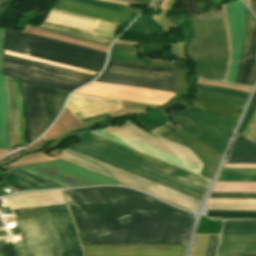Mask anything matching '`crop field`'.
I'll list each match as a JSON object with an SVG mask.
<instances>
[{
    "mask_svg": "<svg viewBox=\"0 0 256 256\" xmlns=\"http://www.w3.org/2000/svg\"><path fill=\"white\" fill-rule=\"evenodd\" d=\"M63 192L86 244H187L193 214L126 188Z\"/></svg>",
    "mask_w": 256,
    "mask_h": 256,
    "instance_id": "obj_1",
    "label": "crop field"
},
{
    "mask_svg": "<svg viewBox=\"0 0 256 256\" xmlns=\"http://www.w3.org/2000/svg\"><path fill=\"white\" fill-rule=\"evenodd\" d=\"M3 49L99 72L105 53L5 29Z\"/></svg>",
    "mask_w": 256,
    "mask_h": 256,
    "instance_id": "obj_2",
    "label": "crop field"
},
{
    "mask_svg": "<svg viewBox=\"0 0 256 256\" xmlns=\"http://www.w3.org/2000/svg\"><path fill=\"white\" fill-rule=\"evenodd\" d=\"M68 149L91 157L128 173L134 174L176 192L182 193L197 200H201L204 189L181 181L149 167L143 166L106 150L100 149L83 141Z\"/></svg>",
    "mask_w": 256,
    "mask_h": 256,
    "instance_id": "obj_3",
    "label": "crop field"
},
{
    "mask_svg": "<svg viewBox=\"0 0 256 256\" xmlns=\"http://www.w3.org/2000/svg\"><path fill=\"white\" fill-rule=\"evenodd\" d=\"M176 71L109 60L96 81L174 92L172 82Z\"/></svg>",
    "mask_w": 256,
    "mask_h": 256,
    "instance_id": "obj_4",
    "label": "crop field"
},
{
    "mask_svg": "<svg viewBox=\"0 0 256 256\" xmlns=\"http://www.w3.org/2000/svg\"><path fill=\"white\" fill-rule=\"evenodd\" d=\"M48 256H62L48 213L34 215ZM34 216L15 219L23 243L13 244L17 256H47Z\"/></svg>",
    "mask_w": 256,
    "mask_h": 256,
    "instance_id": "obj_5",
    "label": "crop field"
},
{
    "mask_svg": "<svg viewBox=\"0 0 256 256\" xmlns=\"http://www.w3.org/2000/svg\"><path fill=\"white\" fill-rule=\"evenodd\" d=\"M25 62V61H24ZM2 57L1 74L71 92L91 78Z\"/></svg>",
    "mask_w": 256,
    "mask_h": 256,
    "instance_id": "obj_6",
    "label": "crop field"
},
{
    "mask_svg": "<svg viewBox=\"0 0 256 256\" xmlns=\"http://www.w3.org/2000/svg\"><path fill=\"white\" fill-rule=\"evenodd\" d=\"M21 168L27 169L68 186L119 184L62 160L21 166Z\"/></svg>",
    "mask_w": 256,
    "mask_h": 256,
    "instance_id": "obj_7",
    "label": "crop field"
},
{
    "mask_svg": "<svg viewBox=\"0 0 256 256\" xmlns=\"http://www.w3.org/2000/svg\"><path fill=\"white\" fill-rule=\"evenodd\" d=\"M172 117L190 134L222 154L233 130L204 115L173 114Z\"/></svg>",
    "mask_w": 256,
    "mask_h": 256,
    "instance_id": "obj_8",
    "label": "crop field"
},
{
    "mask_svg": "<svg viewBox=\"0 0 256 256\" xmlns=\"http://www.w3.org/2000/svg\"><path fill=\"white\" fill-rule=\"evenodd\" d=\"M75 93L157 105L168 103L169 99L175 96V94L171 92L99 82H93Z\"/></svg>",
    "mask_w": 256,
    "mask_h": 256,
    "instance_id": "obj_9",
    "label": "crop field"
},
{
    "mask_svg": "<svg viewBox=\"0 0 256 256\" xmlns=\"http://www.w3.org/2000/svg\"><path fill=\"white\" fill-rule=\"evenodd\" d=\"M71 134L81 140L88 142V143H91L93 145H96L98 147L106 149V150L116 153L118 155L124 156L126 158H129L131 160H134L136 162H139L141 164H144L146 166H149L151 168H154L156 170H159V171L169 174L171 176H174L176 178L182 179L184 181H187L189 183H192V184L202 187L204 189L206 188V186L209 182L200 177L194 176L192 174H189L187 172H184V171L174 168L172 166L166 165L164 163H161L159 161H156V160L146 157L144 155L138 154L136 152H133L131 150H128L126 148L118 146L116 144H113V143H110L103 139H100L88 132L86 133V132L82 131V132H75V133H71Z\"/></svg>",
    "mask_w": 256,
    "mask_h": 256,
    "instance_id": "obj_10",
    "label": "crop field"
},
{
    "mask_svg": "<svg viewBox=\"0 0 256 256\" xmlns=\"http://www.w3.org/2000/svg\"><path fill=\"white\" fill-rule=\"evenodd\" d=\"M85 256H183L186 246L82 245Z\"/></svg>",
    "mask_w": 256,
    "mask_h": 256,
    "instance_id": "obj_11",
    "label": "crop field"
},
{
    "mask_svg": "<svg viewBox=\"0 0 256 256\" xmlns=\"http://www.w3.org/2000/svg\"><path fill=\"white\" fill-rule=\"evenodd\" d=\"M47 208L60 241L63 255L83 256L80 241L66 206H51Z\"/></svg>",
    "mask_w": 256,
    "mask_h": 256,
    "instance_id": "obj_12",
    "label": "crop field"
},
{
    "mask_svg": "<svg viewBox=\"0 0 256 256\" xmlns=\"http://www.w3.org/2000/svg\"><path fill=\"white\" fill-rule=\"evenodd\" d=\"M105 129L201 166L200 162L189 150L151 136L129 122H126L121 127H107Z\"/></svg>",
    "mask_w": 256,
    "mask_h": 256,
    "instance_id": "obj_13",
    "label": "crop field"
},
{
    "mask_svg": "<svg viewBox=\"0 0 256 256\" xmlns=\"http://www.w3.org/2000/svg\"><path fill=\"white\" fill-rule=\"evenodd\" d=\"M225 6L232 40V61L227 82H235L243 42L245 12L240 1L226 3Z\"/></svg>",
    "mask_w": 256,
    "mask_h": 256,
    "instance_id": "obj_14",
    "label": "crop field"
},
{
    "mask_svg": "<svg viewBox=\"0 0 256 256\" xmlns=\"http://www.w3.org/2000/svg\"><path fill=\"white\" fill-rule=\"evenodd\" d=\"M52 11L61 13V14H65V15H69V16H74V17L94 21L97 23L95 24L94 22H90V21H86V20H82V19H78V18H73V17H69V16H65V15H61V14H57V13H53V12L49 13V15L45 19L46 21H50V22L86 30V31H89L92 28V26L95 24L93 26V28L90 30L91 32H95V33H99V34H103V35H107V36H111V37L113 36L116 26H117L116 24H112V23H108V22H104V21H100V20H96V19H92V18H88V17H83V16H79V15H75V14H71V13H67V12H63V11H59V10H55V9H52Z\"/></svg>",
    "mask_w": 256,
    "mask_h": 256,
    "instance_id": "obj_15",
    "label": "crop field"
},
{
    "mask_svg": "<svg viewBox=\"0 0 256 256\" xmlns=\"http://www.w3.org/2000/svg\"><path fill=\"white\" fill-rule=\"evenodd\" d=\"M4 181L21 191L68 187L19 167L9 172Z\"/></svg>",
    "mask_w": 256,
    "mask_h": 256,
    "instance_id": "obj_16",
    "label": "crop field"
},
{
    "mask_svg": "<svg viewBox=\"0 0 256 256\" xmlns=\"http://www.w3.org/2000/svg\"><path fill=\"white\" fill-rule=\"evenodd\" d=\"M256 254V234L221 236L216 256Z\"/></svg>",
    "mask_w": 256,
    "mask_h": 256,
    "instance_id": "obj_17",
    "label": "crop field"
},
{
    "mask_svg": "<svg viewBox=\"0 0 256 256\" xmlns=\"http://www.w3.org/2000/svg\"><path fill=\"white\" fill-rule=\"evenodd\" d=\"M55 9L83 15V16H88L112 23L119 24V22L123 19L129 18L128 15L68 1V0H57L55 6Z\"/></svg>",
    "mask_w": 256,
    "mask_h": 256,
    "instance_id": "obj_18",
    "label": "crop field"
},
{
    "mask_svg": "<svg viewBox=\"0 0 256 256\" xmlns=\"http://www.w3.org/2000/svg\"><path fill=\"white\" fill-rule=\"evenodd\" d=\"M27 27L53 33V34L66 36V37H71V38H75V39H79V40H83V41H87V42H91V43H95V44H99L107 47L112 41L110 37L86 32V31H82V30L46 22V21L43 22L41 27L30 25V24H28Z\"/></svg>",
    "mask_w": 256,
    "mask_h": 256,
    "instance_id": "obj_19",
    "label": "crop field"
},
{
    "mask_svg": "<svg viewBox=\"0 0 256 256\" xmlns=\"http://www.w3.org/2000/svg\"><path fill=\"white\" fill-rule=\"evenodd\" d=\"M20 83L30 112L31 138L34 141L44 131L37 87L22 81Z\"/></svg>",
    "mask_w": 256,
    "mask_h": 256,
    "instance_id": "obj_20",
    "label": "crop field"
},
{
    "mask_svg": "<svg viewBox=\"0 0 256 256\" xmlns=\"http://www.w3.org/2000/svg\"><path fill=\"white\" fill-rule=\"evenodd\" d=\"M192 104L194 109L202 110L205 112H209L232 121H237L242 108L237 106L208 100L200 97H193Z\"/></svg>",
    "mask_w": 256,
    "mask_h": 256,
    "instance_id": "obj_21",
    "label": "crop field"
},
{
    "mask_svg": "<svg viewBox=\"0 0 256 256\" xmlns=\"http://www.w3.org/2000/svg\"><path fill=\"white\" fill-rule=\"evenodd\" d=\"M18 103V136L21 146L30 143V120L26 102L24 100L20 83L13 79Z\"/></svg>",
    "mask_w": 256,
    "mask_h": 256,
    "instance_id": "obj_22",
    "label": "crop field"
},
{
    "mask_svg": "<svg viewBox=\"0 0 256 256\" xmlns=\"http://www.w3.org/2000/svg\"><path fill=\"white\" fill-rule=\"evenodd\" d=\"M40 105L42 110L44 128L50 124L60 111L57 92L54 89L38 86Z\"/></svg>",
    "mask_w": 256,
    "mask_h": 256,
    "instance_id": "obj_23",
    "label": "crop field"
},
{
    "mask_svg": "<svg viewBox=\"0 0 256 256\" xmlns=\"http://www.w3.org/2000/svg\"><path fill=\"white\" fill-rule=\"evenodd\" d=\"M6 95L8 103V128L10 146L18 143L17 136V104L13 90L12 78L7 76L6 80ZM9 138H8V151H9Z\"/></svg>",
    "mask_w": 256,
    "mask_h": 256,
    "instance_id": "obj_24",
    "label": "crop field"
},
{
    "mask_svg": "<svg viewBox=\"0 0 256 256\" xmlns=\"http://www.w3.org/2000/svg\"><path fill=\"white\" fill-rule=\"evenodd\" d=\"M4 28H0V64L2 55V38ZM5 75L0 74V149H7V104L5 96Z\"/></svg>",
    "mask_w": 256,
    "mask_h": 256,
    "instance_id": "obj_25",
    "label": "crop field"
},
{
    "mask_svg": "<svg viewBox=\"0 0 256 256\" xmlns=\"http://www.w3.org/2000/svg\"><path fill=\"white\" fill-rule=\"evenodd\" d=\"M240 158H256V144L239 135L234 143L229 160Z\"/></svg>",
    "mask_w": 256,
    "mask_h": 256,
    "instance_id": "obj_26",
    "label": "crop field"
},
{
    "mask_svg": "<svg viewBox=\"0 0 256 256\" xmlns=\"http://www.w3.org/2000/svg\"><path fill=\"white\" fill-rule=\"evenodd\" d=\"M256 56V22L254 21L253 31L249 42L240 84L246 85Z\"/></svg>",
    "mask_w": 256,
    "mask_h": 256,
    "instance_id": "obj_27",
    "label": "crop field"
},
{
    "mask_svg": "<svg viewBox=\"0 0 256 256\" xmlns=\"http://www.w3.org/2000/svg\"><path fill=\"white\" fill-rule=\"evenodd\" d=\"M212 192L256 193V183L217 182Z\"/></svg>",
    "mask_w": 256,
    "mask_h": 256,
    "instance_id": "obj_28",
    "label": "crop field"
},
{
    "mask_svg": "<svg viewBox=\"0 0 256 256\" xmlns=\"http://www.w3.org/2000/svg\"><path fill=\"white\" fill-rule=\"evenodd\" d=\"M253 228H256V220L225 222L223 230H241V229H253ZM247 233H256V229L235 231L234 234H247Z\"/></svg>",
    "mask_w": 256,
    "mask_h": 256,
    "instance_id": "obj_29",
    "label": "crop field"
},
{
    "mask_svg": "<svg viewBox=\"0 0 256 256\" xmlns=\"http://www.w3.org/2000/svg\"><path fill=\"white\" fill-rule=\"evenodd\" d=\"M110 57L125 59V60H132V61L143 62V63L151 62V60H148V59L136 58V50H131V49H122V48L112 47Z\"/></svg>",
    "mask_w": 256,
    "mask_h": 256,
    "instance_id": "obj_30",
    "label": "crop field"
},
{
    "mask_svg": "<svg viewBox=\"0 0 256 256\" xmlns=\"http://www.w3.org/2000/svg\"><path fill=\"white\" fill-rule=\"evenodd\" d=\"M207 216L222 218H255L256 212L247 211H207Z\"/></svg>",
    "mask_w": 256,
    "mask_h": 256,
    "instance_id": "obj_31",
    "label": "crop field"
},
{
    "mask_svg": "<svg viewBox=\"0 0 256 256\" xmlns=\"http://www.w3.org/2000/svg\"><path fill=\"white\" fill-rule=\"evenodd\" d=\"M207 210H251V211H256V205L208 204Z\"/></svg>",
    "mask_w": 256,
    "mask_h": 256,
    "instance_id": "obj_32",
    "label": "crop field"
},
{
    "mask_svg": "<svg viewBox=\"0 0 256 256\" xmlns=\"http://www.w3.org/2000/svg\"><path fill=\"white\" fill-rule=\"evenodd\" d=\"M83 3H88V4H93L99 7H104V8H109L118 12L124 13L126 11L127 7L126 6H121L117 4H111V3H105V2H100L96 0H75Z\"/></svg>",
    "mask_w": 256,
    "mask_h": 256,
    "instance_id": "obj_33",
    "label": "crop field"
},
{
    "mask_svg": "<svg viewBox=\"0 0 256 256\" xmlns=\"http://www.w3.org/2000/svg\"><path fill=\"white\" fill-rule=\"evenodd\" d=\"M210 198H239V199H256V194H240V193H212Z\"/></svg>",
    "mask_w": 256,
    "mask_h": 256,
    "instance_id": "obj_34",
    "label": "crop field"
},
{
    "mask_svg": "<svg viewBox=\"0 0 256 256\" xmlns=\"http://www.w3.org/2000/svg\"><path fill=\"white\" fill-rule=\"evenodd\" d=\"M255 107H256V92H255V94H254V96L252 98V101H251V103H250V105L248 107V110H247V112L245 114V117H244V119L242 121V124H241V126H240V128H239V130L237 132L238 134L242 133V131L245 128L246 124L248 123V121H249V119H250V117H251Z\"/></svg>",
    "mask_w": 256,
    "mask_h": 256,
    "instance_id": "obj_35",
    "label": "crop field"
},
{
    "mask_svg": "<svg viewBox=\"0 0 256 256\" xmlns=\"http://www.w3.org/2000/svg\"><path fill=\"white\" fill-rule=\"evenodd\" d=\"M219 236H210L205 256H215Z\"/></svg>",
    "mask_w": 256,
    "mask_h": 256,
    "instance_id": "obj_36",
    "label": "crop field"
},
{
    "mask_svg": "<svg viewBox=\"0 0 256 256\" xmlns=\"http://www.w3.org/2000/svg\"><path fill=\"white\" fill-rule=\"evenodd\" d=\"M252 26H253V18L249 15V28H248L247 39H246V43H245V48H244V53H243V58H242V62H241V67H240V72H239V77H238L237 83L239 82V78H240V75H241L242 66H243V62H244V58H245L249 38H250V35H251V31H252Z\"/></svg>",
    "mask_w": 256,
    "mask_h": 256,
    "instance_id": "obj_37",
    "label": "crop field"
},
{
    "mask_svg": "<svg viewBox=\"0 0 256 256\" xmlns=\"http://www.w3.org/2000/svg\"><path fill=\"white\" fill-rule=\"evenodd\" d=\"M197 89L211 90V91L223 93V94H226V95H230V96L241 98V99H245V100H247V98H248V96H246V95L237 94V93H233V92H229V91H225V90H221V89H216V88L199 87V86H197Z\"/></svg>",
    "mask_w": 256,
    "mask_h": 256,
    "instance_id": "obj_38",
    "label": "crop field"
},
{
    "mask_svg": "<svg viewBox=\"0 0 256 256\" xmlns=\"http://www.w3.org/2000/svg\"><path fill=\"white\" fill-rule=\"evenodd\" d=\"M176 132L169 124L153 131V133L157 134L158 136L164 138L172 133Z\"/></svg>",
    "mask_w": 256,
    "mask_h": 256,
    "instance_id": "obj_39",
    "label": "crop field"
},
{
    "mask_svg": "<svg viewBox=\"0 0 256 256\" xmlns=\"http://www.w3.org/2000/svg\"><path fill=\"white\" fill-rule=\"evenodd\" d=\"M5 256H16L15 250L12 244L2 245Z\"/></svg>",
    "mask_w": 256,
    "mask_h": 256,
    "instance_id": "obj_40",
    "label": "crop field"
},
{
    "mask_svg": "<svg viewBox=\"0 0 256 256\" xmlns=\"http://www.w3.org/2000/svg\"><path fill=\"white\" fill-rule=\"evenodd\" d=\"M255 119H256V110L252 116V118L250 119L246 129L244 130V132L242 133V136H244L246 138V136L248 135V133L250 132L254 122H255ZM241 135V134H240Z\"/></svg>",
    "mask_w": 256,
    "mask_h": 256,
    "instance_id": "obj_41",
    "label": "crop field"
},
{
    "mask_svg": "<svg viewBox=\"0 0 256 256\" xmlns=\"http://www.w3.org/2000/svg\"><path fill=\"white\" fill-rule=\"evenodd\" d=\"M255 80H256V60H255L254 67H253V70H252L251 75L249 77L247 85L253 86L254 83H255Z\"/></svg>",
    "mask_w": 256,
    "mask_h": 256,
    "instance_id": "obj_42",
    "label": "crop field"
},
{
    "mask_svg": "<svg viewBox=\"0 0 256 256\" xmlns=\"http://www.w3.org/2000/svg\"><path fill=\"white\" fill-rule=\"evenodd\" d=\"M226 163H250L256 164V159H240V160H231Z\"/></svg>",
    "mask_w": 256,
    "mask_h": 256,
    "instance_id": "obj_43",
    "label": "crop field"
},
{
    "mask_svg": "<svg viewBox=\"0 0 256 256\" xmlns=\"http://www.w3.org/2000/svg\"><path fill=\"white\" fill-rule=\"evenodd\" d=\"M197 85H199V86H209V85H200V84H197ZM210 87L221 88V89H225V90H229V91H233V92H237V93H242V94L249 95L248 92H244V91H240V90H235V89H230V88H224V87H218V86H210Z\"/></svg>",
    "mask_w": 256,
    "mask_h": 256,
    "instance_id": "obj_44",
    "label": "crop field"
},
{
    "mask_svg": "<svg viewBox=\"0 0 256 256\" xmlns=\"http://www.w3.org/2000/svg\"><path fill=\"white\" fill-rule=\"evenodd\" d=\"M101 1L112 2V3H117V4H121V5H126V6L132 5V4H129V3L118 2V1H112V0H101Z\"/></svg>",
    "mask_w": 256,
    "mask_h": 256,
    "instance_id": "obj_45",
    "label": "crop field"
},
{
    "mask_svg": "<svg viewBox=\"0 0 256 256\" xmlns=\"http://www.w3.org/2000/svg\"><path fill=\"white\" fill-rule=\"evenodd\" d=\"M250 2H251V5H252L254 11L256 12V0H250Z\"/></svg>",
    "mask_w": 256,
    "mask_h": 256,
    "instance_id": "obj_46",
    "label": "crop field"
},
{
    "mask_svg": "<svg viewBox=\"0 0 256 256\" xmlns=\"http://www.w3.org/2000/svg\"><path fill=\"white\" fill-rule=\"evenodd\" d=\"M133 1H137V2H141V3L150 4V2H151L152 0H133Z\"/></svg>",
    "mask_w": 256,
    "mask_h": 256,
    "instance_id": "obj_47",
    "label": "crop field"
},
{
    "mask_svg": "<svg viewBox=\"0 0 256 256\" xmlns=\"http://www.w3.org/2000/svg\"><path fill=\"white\" fill-rule=\"evenodd\" d=\"M113 46H122V47H132V48H136V46H128V45H117V44H113Z\"/></svg>",
    "mask_w": 256,
    "mask_h": 256,
    "instance_id": "obj_48",
    "label": "crop field"
},
{
    "mask_svg": "<svg viewBox=\"0 0 256 256\" xmlns=\"http://www.w3.org/2000/svg\"><path fill=\"white\" fill-rule=\"evenodd\" d=\"M161 0H155L153 5L158 6Z\"/></svg>",
    "mask_w": 256,
    "mask_h": 256,
    "instance_id": "obj_49",
    "label": "crop field"
},
{
    "mask_svg": "<svg viewBox=\"0 0 256 256\" xmlns=\"http://www.w3.org/2000/svg\"><path fill=\"white\" fill-rule=\"evenodd\" d=\"M0 256H4V253H3V251H2L1 244H0Z\"/></svg>",
    "mask_w": 256,
    "mask_h": 256,
    "instance_id": "obj_50",
    "label": "crop field"
},
{
    "mask_svg": "<svg viewBox=\"0 0 256 256\" xmlns=\"http://www.w3.org/2000/svg\"><path fill=\"white\" fill-rule=\"evenodd\" d=\"M249 256H256V255H249Z\"/></svg>",
    "mask_w": 256,
    "mask_h": 256,
    "instance_id": "obj_51",
    "label": "crop field"
}]
</instances>
